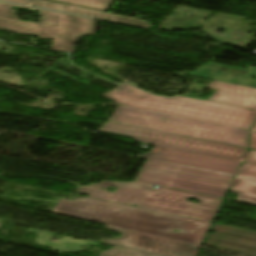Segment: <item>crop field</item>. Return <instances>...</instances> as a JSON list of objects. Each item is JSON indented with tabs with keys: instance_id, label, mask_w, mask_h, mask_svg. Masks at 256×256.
I'll use <instances>...</instances> for the list:
<instances>
[{
	"instance_id": "obj_2",
	"label": "crop field",
	"mask_w": 256,
	"mask_h": 256,
	"mask_svg": "<svg viewBox=\"0 0 256 256\" xmlns=\"http://www.w3.org/2000/svg\"><path fill=\"white\" fill-rule=\"evenodd\" d=\"M55 213L110 224L144 233L202 244L211 223L157 211L81 198L58 201ZM164 229H180L166 232Z\"/></svg>"
},
{
	"instance_id": "obj_4",
	"label": "crop field",
	"mask_w": 256,
	"mask_h": 256,
	"mask_svg": "<svg viewBox=\"0 0 256 256\" xmlns=\"http://www.w3.org/2000/svg\"><path fill=\"white\" fill-rule=\"evenodd\" d=\"M165 118L166 120H163ZM113 122L249 148L248 130L118 105Z\"/></svg>"
},
{
	"instance_id": "obj_7",
	"label": "crop field",
	"mask_w": 256,
	"mask_h": 256,
	"mask_svg": "<svg viewBox=\"0 0 256 256\" xmlns=\"http://www.w3.org/2000/svg\"><path fill=\"white\" fill-rule=\"evenodd\" d=\"M141 157L167 161L235 175L241 162L155 146ZM230 191L239 194L238 201L256 204V165L243 163Z\"/></svg>"
},
{
	"instance_id": "obj_13",
	"label": "crop field",
	"mask_w": 256,
	"mask_h": 256,
	"mask_svg": "<svg viewBox=\"0 0 256 256\" xmlns=\"http://www.w3.org/2000/svg\"><path fill=\"white\" fill-rule=\"evenodd\" d=\"M51 1L85 6V7H90V8L104 10V11H107V9L109 8L112 2V0H51Z\"/></svg>"
},
{
	"instance_id": "obj_3",
	"label": "crop field",
	"mask_w": 256,
	"mask_h": 256,
	"mask_svg": "<svg viewBox=\"0 0 256 256\" xmlns=\"http://www.w3.org/2000/svg\"><path fill=\"white\" fill-rule=\"evenodd\" d=\"M87 186L108 189L118 187L115 193L107 190L77 186L78 193L89 194V197L114 201L119 203L138 205L141 208L157 210L166 213L212 222L223 199L190 192L133 181L110 182L102 181L99 184ZM188 197L200 201V204L188 202Z\"/></svg>"
},
{
	"instance_id": "obj_14",
	"label": "crop field",
	"mask_w": 256,
	"mask_h": 256,
	"mask_svg": "<svg viewBox=\"0 0 256 256\" xmlns=\"http://www.w3.org/2000/svg\"><path fill=\"white\" fill-rule=\"evenodd\" d=\"M99 256H154V255L135 252V251L113 246L110 250L102 252Z\"/></svg>"
},
{
	"instance_id": "obj_12",
	"label": "crop field",
	"mask_w": 256,
	"mask_h": 256,
	"mask_svg": "<svg viewBox=\"0 0 256 256\" xmlns=\"http://www.w3.org/2000/svg\"><path fill=\"white\" fill-rule=\"evenodd\" d=\"M28 231L37 233L38 236L40 237L35 239V243L52 247L53 251L76 252L81 249L80 248L81 246H85L87 244H92L96 246L99 245V243H94L89 241H80V240H74V239H68V238H63L57 242H53V241H49L52 236L51 233L33 230V229H29Z\"/></svg>"
},
{
	"instance_id": "obj_18",
	"label": "crop field",
	"mask_w": 256,
	"mask_h": 256,
	"mask_svg": "<svg viewBox=\"0 0 256 256\" xmlns=\"http://www.w3.org/2000/svg\"><path fill=\"white\" fill-rule=\"evenodd\" d=\"M250 130H255L256 131V123H255V125Z\"/></svg>"
},
{
	"instance_id": "obj_5",
	"label": "crop field",
	"mask_w": 256,
	"mask_h": 256,
	"mask_svg": "<svg viewBox=\"0 0 256 256\" xmlns=\"http://www.w3.org/2000/svg\"><path fill=\"white\" fill-rule=\"evenodd\" d=\"M12 6L13 4L0 2V30L39 35V38L55 39L53 41L54 50L73 53V44L81 36L94 34V20L92 19L40 10V24L25 22L16 19V11L11 9Z\"/></svg>"
},
{
	"instance_id": "obj_6",
	"label": "crop field",
	"mask_w": 256,
	"mask_h": 256,
	"mask_svg": "<svg viewBox=\"0 0 256 256\" xmlns=\"http://www.w3.org/2000/svg\"><path fill=\"white\" fill-rule=\"evenodd\" d=\"M233 178L146 160L135 180L224 198Z\"/></svg>"
},
{
	"instance_id": "obj_1",
	"label": "crop field",
	"mask_w": 256,
	"mask_h": 256,
	"mask_svg": "<svg viewBox=\"0 0 256 256\" xmlns=\"http://www.w3.org/2000/svg\"><path fill=\"white\" fill-rule=\"evenodd\" d=\"M217 92L207 101L164 98L122 84L103 95L122 105L249 129L256 118V89L213 81Z\"/></svg>"
},
{
	"instance_id": "obj_16",
	"label": "crop field",
	"mask_w": 256,
	"mask_h": 256,
	"mask_svg": "<svg viewBox=\"0 0 256 256\" xmlns=\"http://www.w3.org/2000/svg\"><path fill=\"white\" fill-rule=\"evenodd\" d=\"M251 148L256 149V132L250 131Z\"/></svg>"
},
{
	"instance_id": "obj_15",
	"label": "crop field",
	"mask_w": 256,
	"mask_h": 256,
	"mask_svg": "<svg viewBox=\"0 0 256 256\" xmlns=\"http://www.w3.org/2000/svg\"><path fill=\"white\" fill-rule=\"evenodd\" d=\"M245 162L256 164V151L250 150Z\"/></svg>"
},
{
	"instance_id": "obj_10",
	"label": "crop field",
	"mask_w": 256,
	"mask_h": 256,
	"mask_svg": "<svg viewBox=\"0 0 256 256\" xmlns=\"http://www.w3.org/2000/svg\"><path fill=\"white\" fill-rule=\"evenodd\" d=\"M3 1L30 5V6H35L39 8L48 9V10L69 13V14H74V15H79L84 17H90L95 19L109 20L113 22L134 25L142 28H149L151 26V24L141 21L139 19H136L134 17L92 11V10L66 6V5L44 1V0H3Z\"/></svg>"
},
{
	"instance_id": "obj_11",
	"label": "crop field",
	"mask_w": 256,
	"mask_h": 256,
	"mask_svg": "<svg viewBox=\"0 0 256 256\" xmlns=\"http://www.w3.org/2000/svg\"><path fill=\"white\" fill-rule=\"evenodd\" d=\"M222 66V64L209 62L202 67L192 71L188 75L256 88V81H249L245 79L246 76L251 72V70L239 68L236 72L240 76L238 78H235L229 72L220 71L219 68ZM240 70H242V72H239Z\"/></svg>"
},
{
	"instance_id": "obj_9",
	"label": "crop field",
	"mask_w": 256,
	"mask_h": 256,
	"mask_svg": "<svg viewBox=\"0 0 256 256\" xmlns=\"http://www.w3.org/2000/svg\"><path fill=\"white\" fill-rule=\"evenodd\" d=\"M106 229L122 232L123 235L119 239H101V243L159 256H195L201 246L199 244L144 234L110 225H107Z\"/></svg>"
},
{
	"instance_id": "obj_8",
	"label": "crop field",
	"mask_w": 256,
	"mask_h": 256,
	"mask_svg": "<svg viewBox=\"0 0 256 256\" xmlns=\"http://www.w3.org/2000/svg\"><path fill=\"white\" fill-rule=\"evenodd\" d=\"M100 131L131 136L138 142L241 161L248 149L105 121Z\"/></svg>"
},
{
	"instance_id": "obj_17",
	"label": "crop field",
	"mask_w": 256,
	"mask_h": 256,
	"mask_svg": "<svg viewBox=\"0 0 256 256\" xmlns=\"http://www.w3.org/2000/svg\"><path fill=\"white\" fill-rule=\"evenodd\" d=\"M144 159H146V158H144ZM149 160H151V159H149ZM154 161H156V160H154ZM159 162H161V161H159ZM164 163H167V162H164ZM170 164H172V163H170ZM175 165H177V164H175ZM180 166H182V165H180ZM185 167H187V166H185ZM189 168H192V167H189ZM194 169H197V168H194ZM200 170H202V169H200ZM205 171H207V170H205ZM210 172H213V171H210ZM216 173H218V172H216ZM221 174H223V173H221ZM226 175H228V174H226Z\"/></svg>"
}]
</instances>
